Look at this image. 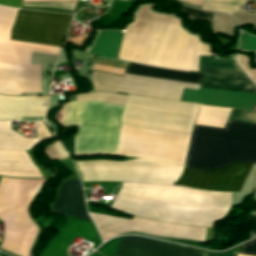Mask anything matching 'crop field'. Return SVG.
Returning a JSON list of instances; mask_svg holds the SVG:
<instances>
[{
    "label": "crop field",
    "mask_w": 256,
    "mask_h": 256,
    "mask_svg": "<svg viewBox=\"0 0 256 256\" xmlns=\"http://www.w3.org/2000/svg\"><path fill=\"white\" fill-rule=\"evenodd\" d=\"M123 109L98 101L67 102L63 125L80 127L75 135V153H117ZM190 136L121 124L118 155L184 166Z\"/></svg>",
    "instance_id": "8a807250"
},
{
    "label": "crop field",
    "mask_w": 256,
    "mask_h": 256,
    "mask_svg": "<svg viewBox=\"0 0 256 256\" xmlns=\"http://www.w3.org/2000/svg\"><path fill=\"white\" fill-rule=\"evenodd\" d=\"M141 7L124 34L118 57L158 67L197 71L198 55L211 56V47L179 28V20Z\"/></svg>",
    "instance_id": "ac0d7876"
},
{
    "label": "crop field",
    "mask_w": 256,
    "mask_h": 256,
    "mask_svg": "<svg viewBox=\"0 0 256 256\" xmlns=\"http://www.w3.org/2000/svg\"><path fill=\"white\" fill-rule=\"evenodd\" d=\"M234 162L256 163V125L228 122L225 129L194 125L185 166L213 171Z\"/></svg>",
    "instance_id": "34b2d1b8"
},
{
    "label": "crop field",
    "mask_w": 256,
    "mask_h": 256,
    "mask_svg": "<svg viewBox=\"0 0 256 256\" xmlns=\"http://www.w3.org/2000/svg\"><path fill=\"white\" fill-rule=\"evenodd\" d=\"M78 101L98 100L126 106L121 123L157 130L191 134L198 109L197 104L157 100L139 96L90 93Z\"/></svg>",
    "instance_id": "412701ff"
},
{
    "label": "crop field",
    "mask_w": 256,
    "mask_h": 256,
    "mask_svg": "<svg viewBox=\"0 0 256 256\" xmlns=\"http://www.w3.org/2000/svg\"><path fill=\"white\" fill-rule=\"evenodd\" d=\"M198 72H203L200 88L256 95V86L242 72L204 68H199ZM204 89H184L181 101L239 109H253L252 101H256V96L253 95Z\"/></svg>",
    "instance_id": "f4fd0767"
},
{
    "label": "crop field",
    "mask_w": 256,
    "mask_h": 256,
    "mask_svg": "<svg viewBox=\"0 0 256 256\" xmlns=\"http://www.w3.org/2000/svg\"><path fill=\"white\" fill-rule=\"evenodd\" d=\"M94 90L142 95L180 101L183 88L199 90L197 84L125 74L124 78L93 72Z\"/></svg>",
    "instance_id": "dd49c442"
},
{
    "label": "crop field",
    "mask_w": 256,
    "mask_h": 256,
    "mask_svg": "<svg viewBox=\"0 0 256 256\" xmlns=\"http://www.w3.org/2000/svg\"><path fill=\"white\" fill-rule=\"evenodd\" d=\"M71 15L19 10L12 30L64 37ZM12 31V40L60 46L63 38Z\"/></svg>",
    "instance_id": "e52e79f7"
},
{
    "label": "crop field",
    "mask_w": 256,
    "mask_h": 256,
    "mask_svg": "<svg viewBox=\"0 0 256 256\" xmlns=\"http://www.w3.org/2000/svg\"><path fill=\"white\" fill-rule=\"evenodd\" d=\"M251 165L236 163L214 172L186 167L177 183L198 189L238 192Z\"/></svg>",
    "instance_id": "d8731c3e"
},
{
    "label": "crop field",
    "mask_w": 256,
    "mask_h": 256,
    "mask_svg": "<svg viewBox=\"0 0 256 256\" xmlns=\"http://www.w3.org/2000/svg\"><path fill=\"white\" fill-rule=\"evenodd\" d=\"M202 253L137 236L123 237L114 256H201Z\"/></svg>",
    "instance_id": "5a996713"
},
{
    "label": "crop field",
    "mask_w": 256,
    "mask_h": 256,
    "mask_svg": "<svg viewBox=\"0 0 256 256\" xmlns=\"http://www.w3.org/2000/svg\"><path fill=\"white\" fill-rule=\"evenodd\" d=\"M47 96L12 97L0 95V120L40 117L46 110Z\"/></svg>",
    "instance_id": "3316defc"
},
{
    "label": "crop field",
    "mask_w": 256,
    "mask_h": 256,
    "mask_svg": "<svg viewBox=\"0 0 256 256\" xmlns=\"http://www.w3.org/2000/svg\"><path fill=\"white\" fill-rule=\"evenodd\" d=\"M51 212L91 222L86 213L82 188L78 179L64 181Z\"/></svg>",
    "instance_id": "28ad6ade"
},
{
    "label": "crop field",
    "mask_w": 256,
    "mask_h": 256,
    "mask_svg": "<svg viewBox=\"0 0 256 256\" xmlns=\"http://www.w3.org/2000/svg\"><path fill=\"white\" fill-rule=\"evenodd\" d=\"M231 109L204 107L199 105L195 124L224 128ZM228 121L256 124V111L232 109Z\"/></svg>",
    "instance_id": "d1516ede"
},
{
    "label": "crop field",
    "mask_w": 256,
    "mask_h": 256,
    "mask_svg": "<svg viewBox=\"0 0 256 256\" xmlns=\"http://www.w3.org/2000/svg\"><path fill=\"white\" fill-rule=\"evenodd\" d=\"M0 175L41 177L24 151L0 150Z\"/></svg>",
    "instance_id": "22f410ed"
},
{
    "label": "crop field",
    "mask_w": 256,
    "mask_h": 256,
    "mask_svg": "<svg viewBox=\"0 0 256 256\" xmlns=\"http://www.w3.org/2000/svg\"><path fill=\"white\" fill-rule=\"evenodd\" d=\"M34 124L37 138H25L10 130V121H0V149L29 150L39 140L51 136L43 121Z\"/></svg>",
    "instance_id": "cbeb9de0"
},
{
    "label": "crop field",
    "mask_w": 256,
    "mask_h": 256,
    "mask_svg": "<svg viewBox=\"0 0 256 256\" xmlns=\"http://www.w3.org/2000/svg\"><path fill=\"white\" fill-rule=\"evenodd\" d=\"M125 73L200 84L202 74L129 63Z\"/></svg>",
    "instance_id": "5142ce71"
},
{
    "label": "crop field",
    "mask_w": 256,
    "mask_h": 256,
    "mask_svg": "<svg viewBox=\"0 0 256 256\" xmlns=\"http://www.w3.org/2000/svg\"><path fill=\"white\" fill-rule=\"evenodd\" d=\"M121 38L122 32L120 31H101L91 53L97 56L117 58Z\"/></svg>",
    "instance_id": "d9b57169"
},
{
    "label": "crop field",
    "mask_w": 256,
    "mask_h": 256,
    "mask_svg": "<svg viewBox=\"0 0 256 256\" xmlns=\"http://www.w3.org/2000/svg\"><path fill=\"white\" fill-rule=\"evenodd\" d=\"M245 0H204L202 9L235 12L238 11L239 3Z\"/></svg>",
    "instance_id": "733c2abd"
},
{
    "label": "crop field",
    "mask_w": 256,
    "mask_h": 256,
    "mask_svg": "<svg viewBox=\"0 0 256 256\" xmlns=\"http://www.w3.org/2000/svg\"><path fill=\"white\" fill-rule=\"evenodd\" d=\"M199 67L220 68L226 70L240 71V69L236 66L234 61H210V57L204 56H199Z\"/></svg>",
    "instance_id": "4a817a6b"
},
{
    "label": "crop field",
    "mask_w": 256,
    "mask_h": 256,
    "mask_svg": "<svg viewBox=\"0 0 256 256\" xmlns=\"http://www.w3.org/2000/svg\"><path fill=\"white\" fill-rule=\"evenodd\" d=\"M77 1H51V2H31L22 3L21 6H41V7H54L60 9L74 10Z\"/></svg>",
    "instance_id": "bc2a9ffb"
},
{
    "label": "crop field",
    "mask_w": 256,
    "mask_h": 256,
    "mask_svg": "<svg viewBox=\"0 0 256 256\" xmlns=\"http://www.w3.org/2000/svg\"><path fill=\"white\" fill-rule=\"evenodd\" d=\"M45 154L50 160H57L69 157L58 142H55L52 145L48 146Z\"/></svg>",
    "instance_id": "214f88e0"
},
{
    "label": "crop field",
    "mask_w": 256,
    "mask_h": 256,
    "mask_svg": "<svg viewBox=\"0 0 256 256\" xmlns=\"http://www.w3.org/2000/svg\"><path fill=\"white\" fill-rule=\"evenodd\" d=\"M181 12L188 14L191 19L208 21V22H210L211 15H212V13L202 12V11H198V10H194L186 7H182Z\"/></svg>",
    "instance_id": "92a150f3"
},
{
    "label": "crop field",
    "mask_w": 256,
    "mask_h": 256,
    "mask_svg": "<svg viewBox=\"0 0 256 256\" xmlns=\"http://www.w3.org/2000/svg\"><path fill=\"white\" fill-rule=\"evenodd\" d=\"M237 62L249 78L256 83V69H249V58L244 55H238Z\"/></svg>",
    "instance_id": "dafd665d"
},
{
    "label": "crop field",
    "mask_w": 256,
    "mask_h": 256,
    "mask_svg": "<svg viewBox=\"0 0 256 256\" xmlns=\"http://www.w3.org/2000/svg\"><path fill=\"white\" fill-rule=\"evenodd\" d=\"M239 49L256 51V38L242 33Z\"/></svg>",
    "instance_id": "00972430"
},
{
    "label": "crop field",
    "mask_w": 256,
    "mask_h": 256,
    "mask_svg": "<svg viewBox=\"0 0 256 256\" xmlns=\"http://www.w3.org/2000/svg\"><path fill=\"white\" fill-rule=\"evenodd\" d=\"M241 253L256 256V240L243 245Z\"/></svg>",
    "instance_id": "a9b5d70f"
},
{
    "label": "crop field",
    "mask_w": 256,
    "mask_h": 256,
    "mask_svg": "<svg viewBox=\"0 0 256 256\" xmlns=\"http://www.w3.org/2000/svg\"><path fill=\"white\" fill-rule=\"evenodd\" d=\"M21 0H0V5L18 8Z\"/></svg>",
    "instance_id": "4177f3b9"
},
{
    "label": "crop field",
    "mask_w": 256,
    "mask_h": 256,
    "mask_svg": "<svg viewBox=\"0 0 256 256\" xmlns=\"http://www.w3.org/2000/svg\"><path fill=\"white\" fill-rule=\"evenodd\" d=\"M237 253H230V254H206L203 253L202 256H236Z\"/></svg>",
    "instance_id": "730fd06b"
},
{
    "label": "crop field",
    "mask_w": 256,
    "mask_h": 256,
    "mask_svg": "<svg viewBox=\"0 0 256 256\" xmlns=\"http://www.w3.org/2000/svg\"><path fill=\"white\" fill-rule=\"evenodd\" d=\"M237 256H248V255L238 254Z\"/></svg>",
    "instance_id": "eef30255"
},
{
    "label": "crop field",
    "mask_w": 256,
    "mask_h": 256,
    "mask_svg": "<svg viewBox=\"0 0 256 256\" xmlns=\"http://www.w3.org/2000/svg\"><path fill=\"white\" fill-rule=\"evenodd\" d=\"M245 32H248L249 33V31L248 30H245ZM251 34V33H250ZM254 35V34H253ZM256 36V35H255Z\"/></svg>",
    "instance_id": "ae1a2a85"
}]
</instances>
